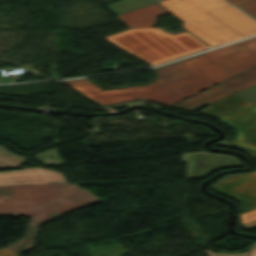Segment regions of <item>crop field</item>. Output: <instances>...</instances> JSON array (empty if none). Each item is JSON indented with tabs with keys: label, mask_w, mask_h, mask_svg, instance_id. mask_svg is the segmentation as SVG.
<instances>
[{
	"label": "crop field",
	"mask_w": 256,
	"mask_h": 256,
	"mask_svg": "<svg viewBox=\"0 0 256 256\" xmlns=\"http://www.w3.org/2000/svg\"><path fill=\"white\" fill-rule=\"evenodd\" d=\"M256 65V37L157 69L147 86L103 91L85 79L64 81L102 106L137 98L170 106Z\"/></svg>",
	"instance_id": "obj_1"
},
{
	"label": "crop field",
	"mask_w": 256,
	"mask_h": 256,
	"mask_svg": "<svg viewBox=\"0 0 256 256\" xmlns=\"http://www.w3.org/2000/svg\"><path fill=\"white\" fill-rule=\"evenodd\" d=\"M105 39L150 65L208 48L186 32L171 35L158 28L128 29Z\"/></svg>",
	"instance_id": "obj_2"
},
{
	"label": "crop field",
	"mask_w": 256,
	"mask_h": 256,
	"mask_svg": "<svg viewBox=\"0 0 256 256\" xmlns=\"http://www.w3.org/2000/svg\"><path fill=\"white\" fill-rule=\"evenodd\" d=\"M159 3L182 19L184 28L211 47L242 39L205 12L227 5L223 0H165Z\"/></svg>",
	"instance_id": "obj_3"
},
{
	"label": "crop field",
	"mask_w": 256,
	"mask_h": 256,
	"mask_svg": "<svg viewBox=\"0 0 256 256\" xmlns=\"http://www.w3.org/2000/svg\"><path fill=\"white\" fill-rule=\"evenodd\" d=\"M99 199L86 190H78L40 209L27 212L32 217L25 237L13 245L0 250V256H16L32 248L40 224L64 215L70 211L98 203ZM4 214L12 215L8 212Z\"/></svg>",
	"instance_id": "obj_4"
},
{
	"label": "crop field",
	"mask_w": 256,
	"mask_h": 256,
	"mask_svg": "<svg viewBox=\"0 0 256 256\" xmlns=\"http://www.w3.org/2000/svg\"><path fill=\"white\" fill-rule=\"evenodd\" d=\"M79 188L66 183L56 185H12L0 186V214L8 211L12 214H26L53 200L72 193Z\"/></svg>",
	"instance_id": "obj_5"
},
{
	"label": "crop field",
	"mask_w": 256,
	"mask_h": 256,
	"mask_svg": "<svg viewBox=\"0 0 256 256\" xmlns=\"http://www.w3.org/2000/svg\"><path fill=\"white\" fill-rule=\"evenodd\" d=\"M216 145L240 149L256 159V154L224 141ZM214 189L240 201L243 204L242 213L256 208V172L225 177L214 186Z\"/></svg>",
	"instance_id": "obj_6"
},
{
	"label": "crop field",
	"mask_w": 256,
	"mask_h": 256,
	"mask_svg": "<svg viewBox=\"0 0 256 256\" xmlns=\"http://www.w3.org/2000/svg\"><path fill=\"white\" fill-rule=\"evenodd\" d=\"M255 83L256 67L220 83L219 86H214L203 93H199L187 100H184L174 105L173 107L193 111L199 107L229 96L234 92H237Z\"/></svg>",
	"instance_id": "obj_7"
},
{
	"label": "crop field",
	"mask_w": 256,
	"mask_h": 256,
	"mask_svg": "<svg viewBox=\"0 0 256 256\" xmlns=\"http://www.w3.org/2000/svg\"><path fill=\"white\" fill-rule=\"evenodd\" d=\"M218 119L237 130L231 142L256 152V105L249 102Z\"/></svg>",
	"instance_id": "obj_8"
},
{
	"label": "crop field",
	"mask_w": 256,
	"mask_h": 256,
	"mask_svg": "<svg viewBox=\"0 0 256 256\" xmlns=\"http://www.w3.org/2000/svg\"><path fill=\"white\" fill-rule=\"evenodd\" d=\"M207 12L243 38L256 34V23L230 5Z\"/></svg>",
	"instance_id": "obj_9"
},
{
	"label": "crop field",
	"mask_w": 256,
	"mask_h": 256,
	"mask_svg": "<svg viewBox=\"0 0 256 256\" xmlns=\"http://www.w3.org/2000/svg\"><path fill=\"white\" fill-rule=\"evenodd\" d=\"M164 9L160 6L153 4L147 7H143L128 13L118 15L117 17L121 19L130 28H140V27H153L156 23V16L166 14Z\"/></svg>",
	"instance_id": "obj_10"
},
{
	"label": "crop field",
	"mask_w": 256,
	"mask_h": 256,
	"mask_svg": "<svg viewBox=\"0 0 256 256\" xmlns=\"http://www.w3.org/2000/svg\"><path fill=\"white\" fill-rule=\"evenodd\" d=\"M247 102L249 101H246L245 99L234 94L209 104L206 109L200 112V114L216 117L220 114H224L230 110H233Z\"/></svg>",
	"instance_id": "obj_11"
},
{
	"label": "crop field",
	"mask_w": 256,
	"mask_h": 256,
	"mask_svg": "<svg viewBox=\"0 0 256 256\" xmlns=\"http://www.w3.org/2000/svg\"><path fill=\"white\" fill-rule=\"evenodd\" d=\"M159 1L162 0H119L107 7L118 15Z\"/></svg>",
	"instance_id": "obj_12"
},
{
	"label": "crop field",
	"mask_w": 256,
	"mask_h": 256,
	"mask_svg": "<svg viewBox=\"0 0 256 256\" xmlns=\"http://www.w3.org/2000/svg\"><path fill=\"white\" fill-rule=\"evenodd\" d=\"M36 159L38 162H41L43 164H51V165L64 164L63 160L58 156L55 149L48 150L42 154H36Z\"/></svg>",
	"instance_id": "obj_13"
},
{
	"label": "crop field",
	"mask_w": 256,
	"mask_h": 256,
	"mask_svg": "<svg viewBox=\"0 0 256 256\" xmlns=\"http://www.w3.org/2000/svg\"><path fill=\"white\" fill-rule=\"evenodd\" d=\"M228 1L256 19V0H228Z\"/></svg>",
	"instance_id": "obj_14"
},
{
	"label": "crop field",
	"mask_w": 256,
	"mask_h": 256,
	"mask_svg": "<svg viewBox=\"0 0 256 256\" xmlns=\"http://www.w3.org/2000/svg\"><path fill=\"white\" fill-rule=\"evenodd\" d=\"M236 94L240 95L241 97H243L247 100L255 98L256 97V85L252 86L250 88L244 89Z\"/></svg>",
	"instance_id": "obj_15"
},
{
	"label": "crop field",
	"mask_w": 256,
	"mask_h": 256,
	"mask_svg": "<svg viewBox=\"0 0 256 256\" xmlns=\"http://www.w3.org/2000/svg\"><path fill=\"white\" fill-rule=\"evenodd\" d=\"M256 220V209L241 215L242 225Z\"/></svg>",
	"instance_id": "obj_16"
},
{
	"label": "crop field",
	"mask_w": 256,
	"mask_h": 256,
	"mask_svg": "<svg viewBox=\"0 0 256 256\" xmlns=\"http://www.w3.org/2000/svg\"><path fill=\"white\" fill-rule=\"evenodd\" d=\"M208 256H249L247 252L241 254H226V253H214L210 250H205Z\"/></svg>",
	"instance_id": "obj_17"
},
{
	"label": "crop field",
	"mask_w": 256,
	"mask_h": 256,
	"mask_svg": "<svg viewBox=\"0 0 256 256\" xmlns=\"http://www.w3.org/2000/svg\"><path fill=\"white\" fill-rule=\"evenodd\" d=\"M242 227L247 230L256 228V221L243 225Z\"/></svg>",
	"instance_id": "obj_18"
},
{
	"label": "crop field",
	"mask_w": 256,
	"mask_h": 256,
	"mask_svg": "<svg viewBox=\"0 0 256 256\" xmlns=\"http://www.w3.org/2000/svg\"><path fill=\"white\" fill-rule=\"evenodd\" d=\"M249 252L251 256H256V244L251 249H249Z\"/></svg>",
	"instance_id": "obj_19"
},
{
	"label": "crop field",
	"mask_w": 256,
	"mask_h": 256,
	"mask_svg": "<svg viewBox=\"0 0 256 256\" xmlns=\"http://www.w3.org/2000/svg\"><path fill=\"white\" fill-rule=\"evenodd\" d=\"M251 102H253L254 104H256V98L255 99H252V100H249Z\"/></svg>",
	"instance_id": "obj_20"
},
{
	"label": "crop field",
	"mask_w": 256,
	"mask_h": 256,
	"mask_svg": "<svg viewBox=\"0 0 256 256\" xmlns=\"http://www.w3.org/2000/svg\"><path fill=\"white\" fill-rule=\"evenodd\" d=\"M0 205H2V202H1V200H0Z\"/></svg>",
	"instance_id": "obj_21"
},
{
	"label": "crop field",
	"mask_w": 256,
	"mask_h": 256,
	"mask_svg": "<svg viewBox=\"0 0 256 256\" xmlns=\"http://www.w3.org/2000/svg\"><path fill=\"white\" fill-rule=\"evenodd\" d=\"M226 156V155H225Z\"/></svg>",
	"instance_id": "obj_22"
}]
</instances>
